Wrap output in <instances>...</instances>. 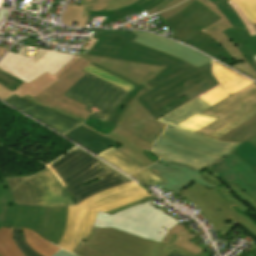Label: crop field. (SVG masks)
Returning a JSON list of instances; mask_svg holds the SVG:
<instances>
[{
    "label": "crop field",
    "instance_id": "8a807250",
    "mask_svg": "<svg viewBox=\"0 0 256 256\" xmlns=\"http://www.w3.org/2000/svg\"><path fill=\"white\" fill-rule=\"evenodd\" d=\"M126 31L95 30L99 39L87 54L165 67L141 95L143 108L156 119L204 94L219 83L211 74V62L195 68L173 56L132 41Z\"/></svg>",
    "mask_w": 256,
    "mask_h": 256
},
{
    "label": "crop field",
    "instance_id": "ac0d7876",
    "mask_svg": "<svg viewBox=\"0 0 256 256\" xmlns=\"http://www.w3.org/2000/svg\"><path fill=\"white\" fill-rule=\"evenodd\" d=\"M178 192L199 206L216 229L224 234L240 223L256 236V223L246 216L248 213L256 216V202L237 185L231 183L209 190L194 182Z\"/></svg>",
    "mask_w": 256,
    "mask_h": 256
},
{
    "label": "crop field",
    "instance_id": "34b2d1b8",
    "mask_svg": "<svg viewBox=\"0 0 256 256\" xmlns=\"http://www.w3.org/2000/svg\"><path fill=\"white\" fill-rule=\"evenodd\" d=\"M49 168L66 188L76 204L97 192L131 182L116 170L76 148L58 159ZM97 178L101 180L88 185H81Z\"/></svg>",
    "mask_w": 256,
    "mask_h": 256
},
{
    "label": "crop field",
    "instance_id": "412701ff",
    "mask_svg": "<svg viewBox=\"0 0 256 256\" xmlns=\"http://www.w3.org/2000/svg\"><path fill=\"white\" fill-rule=\"evenodd\" d=\"M147 196L151 194L131 182L100 192L78 205L68 207L66 231L58 246L72 252L82 240L87 241L97 210L106 212Z\"/></svg>",
    "mask_w": 256,
    "mask_h": 256
},
{
    "label": "crop field",
    "instance_id": "f4fd0767",
    "mask_svg": "<svg viewBox=\"0 0 256 256\" xmlns=\"http://www.w3.org/2000/svg\"><path fill=\"white\" fill-rule=\"evenodd\" d=\"M67 207H29L16 205L5 178H0V228L25 227L57 245L63 236Z\"/></svg>",
    "mask_w": 256,
    "mask_h": 256
},
{
    "label": "crop field",
    "instance_id": "dd49c442",
    "mask_svg": "<svg viewBox=\"0 0 256 256\" xmlns=\"http://www.w3.org/2000/svg\"><path fill=\"white\" fill-rule=\"evenodd\" d=\"M150 202L152 200L113 215L98 211L93 227H114L161 242L168 230L178 222L150 205Z\"/></svg>",
    "mask_w": 256,
    "mask_h": 256
},
{
    "label": "crop field",
    "instance_id": "e52e79f7",
    "mask_svg": "<svg viewBox=\"0 0 256 256\" xmlns=\"http://www.w3.org/2000/svg\"><path fill=\"white\" fill-rule=\"evenodd\" d=\"M173 234L167 245L114 229L93 228L87 242L81 244L111 256H169L173 250L187 256H197L175 245Z\"/></svg>",
    "mask_w": 256,
    "mask_h": 256
},
{
    "label": "crop field",
    "instance_id": "d8731c3e",
    "mask_svg": "<svg viewBox=\"0 0 256 256\" xmlns=\"http://www.w3.org/2000/svg\"><path fill=\"white\" fill-rule=\"evenodd\" d=\"M6 179L16 204L29 206L75 205L48 167L32 177Z\"/></svg>",
    "mask_w": 256,
    "mask_h": 256
},
{
    "label": "crop field",
    "instance_id": "5a996713",
    "mask_svg": "<svg viewBox=\"0 0 256 256\" xmlns=\"http://www.w3.org/2000/svg\"><path fill=\"white\" fill-rule=\"evenodd\" d=\"M88 64L89 61L80 58L67 70H65L61 75L57 77L60 79L59 81H57L47 90L42 92L36 98L33 99L27 95L22 99L28 101L33 105H42L45 108L52 109L65 116H69L78 121L83 122L90 114L89 112L84 110L86 108V105L74 101L70 98H67L62 94L66 92L71 86H73L81 77H83L86 74L81 70Z\"/></svg>",
    "mask_w": 256,
    "mask_h": 256
},
{
    "label": "crop field",
    "instance_id": "3316defc",
    "mask_svg": "<svg viewBox=\"0 0 256 256\" xmlns=\"http://www.w3.org/2000/svg\"><path fill=\"white\" fill-rule=\"evenodd\" d=\"M28 47L24 46L19 53L9 52L1 61L0 69L29 83L44 72L56 74L73 55L37 49L33 56L25 54ZM52 75V76H53Z\"/></svg>",
    "mask_w": 256,
    "mask_h": 256
},
{
    "label": "crop field",
    "instance_id": "28ad6ade",
    "mask_svg": "<svg viewBox=\"0 0 256 256\" xmlns=\"http://www.w3.org/2000/svg\"><path fill=\"white\" fill-rule=\"evenodd\" d=\"M86 73L69 91L92 101L87 110L100 120L105 121L127 91L88 72Z\"/></svg>",
    "mask_w": 256,
    "mask_h": 256
},
{
    "label": "crop field",
    "instance_id": "d1516ede",
    "mask_svg": "<svg viewBox=\"0 0 256 256\" xmlns=\"http://www.w3.org/2000/svg\"><path fill=\"white\" fill-rule=\"evenodd\" d=\"M256 107V83L226 97L200 114L219 119L196 132L207 136Z\"/></svg>",
    "mask_w": 256,
    "mask_h": 256
},
{
    "label": "crop field",
    "instance_id": "22f410ed",
    "mask_svg": "<svg viewBox=\"0 0 256 256\" xmlns=\"http://www.w3.org/2000/svg\"><path fill=\"white\" fill-rule=\"evenodd\" d=\"M220 19L222 18L195 0L183 11L168 20L162 21V23L170 31L173 29L178 31L170 37L184 42Z\"/></svg>",
    "mask_w": 256,
    "mask_h": 256
},
{
    "label": "crop field",
    "instance_id": "cbeb9de0",
    "mask_svg": "<svg viewBox=\"0 0 256 256\" xmlns=\"http://www.w3.org/2000/svg\"><path fill=\"white\" fill-rule=\"evenodd\" d=\"M153 152L165 160L187 165L200 171L211 169L223 158L195 150L162 136L155 143Z\"/></svg>",
    "mask_w": 256,
    "mask_h": 256
},
{
    "label": "crop field",
    "instance_id": "5142ce71",
    "mask_svg": "<svg viewBox=\"0 0 256 256\" xmlns=\"http://www.w3.org/2000/svg\"><path fill=\"white\" fill-rule=\"evenodd\" d=\"M148 168L162 176L168 183L159 185L171 191L184 189L190 186V184L194 181L206 186L209 189L219 185H224L223 182L208 171L200 172L187 166L170 163L163 159L159 160L157 163Z\"/></svg>",
    "mask_w": 256,
    "mask_h": 256
},
{
    "label": "crop field",
    "instance_id": "d9b57169",
    "mask_svg": "<svg viewBox=\"0 0 256 256\" xmlns=\"http://www.w3.org/2000/svg\"><path fill=\"white\" fill-rule=\"evenodd\" d=\"M209 171L226 185L237 184L256 201V170L234 153L231 152Z\"/></svg>",
    "mask_w": 256,
    "mask_h": 256
},
{
    "label": "crop field",
    "instance_id": "733c2abd",
    "mask_svg": "<svg viewBox=\"0 0 256 256\" xmlns=\"http://www.w3.org/2000/svg\"><path fill=\"white\" fill-rule=\"evenodd\" d=\"M144 92L139 91L119 122L133 135L153 144L163 131L165 124L156 121L140 105L138 98Z\"/></svg>",
    "mask_w": 256,
    "mask_h": 256
},
{
    "label": "crop field",
    "instance_id": "4a817a6b",
    "mask_svg": "<svg viewBox=\"0 0 256 256\" xmlns=\"http://www.w3.org/2000/svg\"><path fill=\"white\" fill-rule=\"evenodd\" d=\"M198 1L203 3L205 6H207L223 18L222 20L216 22L215 24L209 26L202 31L208 34L214 40H216L232 56V58L237 62L236 64L231 65L232 67L256 79L255 70L248 64L241 51L224 33L221 32L222 30L232 27L231 24L224 17V15L217 10V7L209 0Z\"/></svg>",
    "mask_w": 256,
    "mask_h": 256
},
{
    "label": "crop field",
    "instance_id": "bc2a9ffb",
    "mask_svg": "<svg viewBox=\"0 0 256 256\" xmlns=\"http://www.w3.org/2000/svg\"><path fill=\"white\" fill-rule=\"evenodd\" d=\"M130 32L138 34L134 41L178 57L196 67L212 61L200 53L166 38L143 31Z\"/></svg>",
    "mask_w": 256,
    "mask_h": 256
},
{
    "label": "crop field",
    "instance_id": "214f88e0",
    "mask_svg": "<svg viewBox=\"0 0 256 256\" xmlns=\"http://www.w3.org/2000/svg\"><path fill=\"white\" fill-rule=\"evenodd\" d=\"M77 56L96 62L148 89L150 87L146 85L163 69L161 67L130 63L90 55H82L78 53Z\"/></svg>",
    "mask_w": 256,
    "mask_h": 256
},
{
    "label": "crop field",
    "instance_id": "92a150f3",
    "mask_svg": "<svg viewBox=\"0 0 256 256\" xmlns=\"http://www.w3.org/2000/svg\"><path fill=\"white\" fill-rule=\"evenodd\" d=\"M4 101L62 134L81 123L42 106H33L15 94Z\"/></svg>",
    "mask_w": 256,
    "mask_h": 256
},
{
    "label": "crop field",
    "instance_id": "dafd665d",
    "mask_svg": "<svg viewBox=\"0 0 256 256\" xmlns=\"http://www.w3.org/2000/svg\"><path fill=\"white\" fill-rule=\"evenodd\" d=\"M162 136L186 144L193 148L223 157L228 155L234 148L239 145L238 143L214 140L169 126H167L165 131L162 133Z\"/></svg>",
    "mask_w": 256,
    "mask_h": 256
},
{
    "label": "crop field",
    "instance_id": "00972430",
    "mask_svg": "<svg viewBox=\"0 0 256 256\" xmlns=\"http://www.w3.org/2000/svg\"><path fill=\"white\" fill-rule=\"evenodd\" d=\"M213 74L220 81L222 86L200 96L210 104H215L224 97L240 90L241 88L253 83L247 78L236 72L216 63H213Z\"/></svg>",
    "mask_w": 256,
    "mask_h": 256
},
{
    "label": "crop field",
    "instance_id": "a9b5d70f",
    "mask_svg": "<svg viewBox=\"0 0 256 256\" xmlns=\"http://www.w3.org/2000/svg\"><path fill=\"white\" fill-rule=\"evenodd\" d=\"M93 131H95L107 138H110L114 141L124 144L125 146H123L117 150L124 153L131 159L135 160L142 166L146 167L153 163V162L149 161L147 159V157L141 153V151L143 149L151 151L152 145H150V144L140 140L139 138L133 136L132 134H130L120 123H118L116 129L114 131H112L111 133H109L108 135L98 132L96 130H93Z\"/></svg>",
    "mask_w": 256,
    "mask_h": 256
},
{
    "label": "crop field",
    "instance_id": "4177f3b9",
    "mask_svg": "<svg viewBox=\"0 0 256 256\" xmlns=\"http://www.w3.org/2000/svg\"><path fill=\"white\" fill-rule=\"evenodd\" d=\"M90 65H93L119 79H122L132 85H134L135 87L130 91L128 92V94L125 96V98L122 100V102L119 104V106L115 109V111L110 115V117L104 122L100 121L99 119H97L96 117H94L92 114L89 116V118L84 122V124H86L87 126L93 128V129H96V130H99L101 132H104V133H109L111 132L112 130H114L117 122L119 121L120 117L122 116L124 110L126 109V107L129 105V103L131 102V100L133 99V97L138 93V91L140 89H143V90H148L122 76H119L95 63H90Z\"/></svg>",
    "mask_w": 256,
    "mask_h": 256
},
{
    "label": "crop field",
    "instance_id": "730fd06b",
    "mask_svg": "<svg viewBox=\"0 0 256 256\" xmlns=\"http://www.w3.org/2000/svg\"><path fill=\"white\" fill-rule=\"evenodd\" d=\"M79 57H74L70 60L55 76H52L49 73H44L31 83H22L15 91L11 92L0 85V98L6 99L7 97L11 96L12 94H17L19 97H24L25 95H30L31 97L37 96L39 93L47 89L53 83H55L58 79L56 78L59 74H61L65 69H67L71 64H73Z\"/></svg>",
    "mask_w": 256,
    "mask_h": 256
},
{
    "label": "crop field",
    "instance_id": "eef30255",
    "mask_svg": "<svg viewBox=\"0 0 256 256\" xmlns=\"http://www.w3.org/2000/svg\"><path fill=\"white\" fill-rule=\"evenodd\" d=\"M80 6L68 4L62 22L65 25L78 23L77 27H85L89 11L102 10L110 0H80Z\"/></svg>",
    "mask_w": 256,
    "mask_h": 256
},
{
    "label": "crop field",
    "instance_id": "ae1a2a85",
    "mask_svg": "<svg viewBox=\"0 0 256 256\" xmlns=\"http://www.w3.org/2000/svg\"><path fill=\"white\" fill-rule=\"evenodd\" d=\"M64 135L95 154L114 143V141L87 129L82 124Z\"/></svg>",
    "mask_w": 256,
    "mask_h": 256
},
{
    "label": "crop field",
    "instance_id": "d3111659",
    "mask_svg": "<svg viewBox=\"0 0 256 256\" xmlns=\"http://www.w3.org/2000/svg\"><path fill=\"white\" fill-rule=\"evenodd\" d=\"M242 51L250 65L256 70L252 55L256 54V35L250 36L248 30L232 27L223 31Z\"/></svg>",
    "mask_w": 256,
    "mask_h": 256
},
{
    "label": "crop field",
    "instance_id": "750c4746",
    "mask_svg": "<svg viewBox=\"0 0 256 256\" xmlns=\"http://www.w3.org/2000/svg\"><path fill=\"white\" fill-rule=\"evenodd\" d=\"M185 43L190 44L205 51L207 55L217 59L220 56L229 61L230 63H235V61L230 57V55L212 38L207 36L202 31L197 35L191 37Z\"/></svg>",
    "mask_w": 256,
    "mask_h": 256
},
{
    "label": "crop field",
    "instance_id": "bd1437ed",
    "mask_svg": "<svg viewBox=\"0 0 256 256\" xmlns=\"http://www.w3.org/2000/svg\"><path fill=\"white\" fill-rule=\"evenodd\" d=\"M161 1L162 0H140L130 6L115 11H95L90 12L89 15L105 16L107 17L106 22H112L115 19L126 17L150 9Z\"/></svg>",
    "mask_w": 256,
    "mask_h": 256
},
{
    "label": "crop field",
    "instance_id": "1d83c4d3",
    "mask_svg": "<svg viewBox=\"0 0 256 256\" xmlns=\"http://www.w3.org/2000/svg\"><path fill=\"white\" fill-rule=\"evenodd\" d=\"M210 106L211 105L199 97L185 106L177 109L176 111L168 114L160 121L174 126Z\"/></svg>",
    "mask_w": 256,
    "mask_h": 256
},
{
    "label": "crop field",
    "instance_id": "120bbe31",
    "mask_svg": "<svg viewBox=\"0 0 256 256\" xmlns=\"http://www.w3.org/2000/svg\"><path fill=\"white\" fill-rule=\"evenodd\" d=\"M99 156L106 159L107 161L128 174L143 168L141 165L134 162L133 160L113 148H109L108 150L99 154Z\"/></svg>",
    "mask_w": 256,
    "mask_h": 256
},
{
    "label": "crop field",
    "instance_id": "d32e631a",
    "mask_svg": "<svg viewBox=\"0 0 256 256\" xmlns=\"http://www.w3.org/2000/svg\"><path fill=\"white\" fill-rule=\"evenodd\" d=\"M22 234L27 244L41 256H53V254L59 250L58 247L50 244L42 237L38 236L31 230L21 228Z\"/></svg>",
    "mask_w": 256,
    "mask_h": 256
},
{
    "label": "crop field",
    "instance_id": "5866460e",
    "mask_svg": "<svg viewBox=\"0 0 256 256\" xmlns=\"http://www.w3.org/2000/svg\"><path fill=\"white\" fill-rule=\"evenodd\" d=\"M173 233L178 235L173 244L197 255H199V253L202 251L201 248L187 241L193 238V235L181 224H178L174 226L172 229H170L169 232L164 237V239L162 240V242L167 244Z\"/></svg>",
    "mask_w": 256,
    "mask_h": 256
},
{
    "label": "crop field",
    "instance_id": "028f5c9d",
    "mask_svg": "<svg viewBox=\"0 0 256 256\" xmlns=\"http://www.w3.org/2000/svg\"><path fill=\"white\" fill-rule=\"evenodd\" d=\"M256 135V116L225 134L220 140L242 143Z\"/></svg>",
    "mask_w": 256,
    "mask_h": 256
},
{
    "label": "crop field",
    "instance_id": "e1f06a70",
    "mask_svg": "<svg viewBox=\"0 0 256 256\" xmlns=\"http://www.w3.org/2000/svg\"><path fill=\"white\" fill-rule=\"evenodd\" d=\"M0 254L1 256H24L12 240V229H0Z\"/></svg>",
    "mask_w": 256,
    "mask_h": 256
},
{
    "label": "crop field",
    "instance_id": "0bd39190",
    "mask_svg": "<svg viewBox=\"0 0 256 256\" xmlns=\"http://www.w3.org/2000/svg\"><path fill=\"white\" fill-rule=\"evenodd\" d=\"M216 119L218 118L197 114L174 127L194 133Z\"/></svg>",
    "mask_w": 256,
    "mask_h": 256
},
{
    "label": "crop field",
    "instance_id": "b80d0937",
    "mask_svg": "<svg viewBox=\"0 0 256 256\" xmlns=\"http://www.w3.org/2000/svg\"><path fill=\"white\" fill-rule=\"evenodd\" d=\"M210 1L218 7V10L225 15V17L229 20L232 26L246 29V27L244 26V24L236 14V12L230 6L229 0H210Z\"/></svg>",
    "mask_w": 256,
    "mask_h": 256
},
{
    "label": "crop field",
    "instance_id": "c035e120",
    "mask_svg": "<svg viewBox=\"0 0 256 256\" xmlns=\"http://www.w3.org/2000/svg\"><path fill=\"white\" fill-rule=\"evenodd\" d=\"M232 152L256 169V146L252 142L248 140Z\"/></svg>",
    "mask_w": 256,
    "mask_h": 256
},
{
    "label": "crop field",
    "instance_id": "c21b1889",
    "mask_svg": "<svg viewBox=\"0 0 256 256\" xmlns=\"http://www.w3.org/2000/svg\"><path fill=\"white\" fill-rule=\"evenodd\" d=\"M133 178L138 180L139 182L145 184L146 186H151L153 183H163L166 182L162 177L151 171L150 169L146 168L142 171L134 173L132 175Z\"/></svg>",
    "mask_w": 256,
    "mask_h": 256
},
{
    "label": "crop field",
    "instance_id": "03da06ac",
    "mask_svg": "<svg viewBox=\"0 0 256 256\" xmlns=\"http://www.w3.org/2000/svg\"><path fill=\"white\" fill-rule=\"evenodd\" d=\"M255 115H256V108L248 112L247 114L243 115L242 117L238 118L237 120L231 122L230 124L226 125L225 127L214 132L213 134L209 135L208 137L217 139Z\"/></svg>",
    "mask_w": 256,
    "mask_h": 256
},
{
    "label": "crop field",
    "instance_id": "b54c1fbb",
    "mask_svg": "<svg viewBox=\"0 0 256 256\" xmlns=\"http://www.w3.org/2000/svg\"><path fill=\"white\" fill-rule=\"evenodd\" d=\"M238 4L251 24L256 23V0H231Z\"/></svg>",
    "mask_w": 256,
    "mask_h": 256
},
{
    "label": "crop field",
    "instance_id": "5d738f31",
    "mask_svg": "<svg viewBox=\"0 0 256 256\" xmlns=\"http://www.w3.org/2000/svg\"><path fill=\"white\" fill-rule=\"evenodd\" d=\"M84 70H86V71H88V72H90V73H92V74H94V75H96L100 78H103V79H105V80H107V81H109V82H111L115 85H118V86H120V87H122V88H124L128 91H130L133 88V86H131V85H129V84H127V83H125V82L107 74V73H104V72H102V71H100V70H98V69H96V68H94L90 65H88L86 68H84Z\"/></svg>",
    "mask_w": 256,
    "mask_h": 256
},
{
    "label": "crop field",
    "instance_id": "d23c7cc5",
    "mask_svg": "<svg viewBox=\"0 0 256 256\" xmlns=\"http://www.w3.org/2000/svg\"><path fill=\"white\" fill-rule=\"evenodd\" d=\"M13 240L18 245L19 249L24 253L25 256H39L37 255L24 241L20 229L14 228Z\"/></svg>",
    "mask_w": 256,
    "mask_h": 256
},
{
    "label": "crop field",
    "instance_id": "425ffa30",
    "mask_svg": "<svg viewBox=\"0 0 256 256\" xmlns=\"http://www.w3.org/2000/svg\"><path fill=\"white\" fill-rule=\"evenodd\" d=\"M23 81L3 72L0 70V84L7 89L13 91L17 88Z\"/></svg>",
    "mask_w": 256,
    "mask_h": 256
},
{
    "label": "crop field",
    "instance_id": "25e5ab78",
    "mask_svg": "<svg viewBox=\"0 0 256 256\" xmlns=\"http://www.w3.org/2000/svg\"><path fill=\"white\" fill-rule=\"evenodd\" d=\"M183 1H185V0H164L161 3H159L158 5H156L154 8L147 10V13H148V15H150L155 12L163 11V10L171 8Z\"/></svg>",
    "mask_w": 256,
    "mask_h": 256
},
{
    "label": "crop field",
    "instance_id": "73cf0c24",
    "mask_svg": "<svg viewBox=\"0 0 256 256\" xmlns=\"http://www.w3.org/2000/svg\"><path fill=\"white\" fill-rule=\"evenodd\" d=\"M194 0H187L165 12L159 13L160 16L162 17L163 20L175 15L176 13H178L179 11L183 10L185 7H187L191 2H193Z\"/></svg>",
    "mask_w": 256,
    "mask_h": 256
},
{
    "label": "crop field",
    "instance_id": "89e229c0",
    "mask_svg": "<svg viewBox=\"0 0 256 256\" xmlns=\"http://www.w3.org/2000/svg\"><path fill=\"white\" fill-rule=\"evenodd\" d=\"M73 253L79 256H108L106 254L85 247L81 244H79V246L73 251Z\"/></svg>",
    "mask_w": 256,
    "mask_h": 256
},
{
    "label": "crop field",
    "instance_id": "1f2cbd36",
    "mask_svg": "<svg viewBox=\"0 0 256 256\" xmlns=\"http://www.w3.org/2000/svg\"><path fill=\"white\" fill-rule=\"evenodd\" d=\"M137 0H111L103 10H115L134 3Z\"/></svg>",
    "mask_w": 256,
    "mask_h": 256
},
{
    "label": "crop field",
    "instance_id": "dbb93151",
    "mask_svg": "<svg viewBox=\"0 0 256 256\" xmlns=\"http://www.w3.org/2000/svg\"><path fill=\"white\" fill-rule=\"evenodd\" d=\"M150 199H153V200H154V199H156V198L153 197V196L147 197V198H144V199H142V200L136 201V202H134V203L128 204V205H126V206L117 208V209H115V210H112V211H109V212H106V213L113 214V213H115V212H118V211L124 210V209H126V208H129V207H132V206L141 204V203H143V202H146V201H148V200H150Z\"/></svg>",
    "mask_w": 256,
    "mask_h": 256
},
{
    "label": "crop field",
    "instance_id": "0fb4a251",
    "mask_svg": "<svg viewBox=\"0 0 256 256\" xmlns=\"http://www.w3.org/2000/svg\"><path fill=\"white\" fill-rule=\"evenodd\" d=\"M64 95H66V96H68V97H70V98H72V99H74V100H77V101H79V102H82V103H84V104H86V105H89L90 104V101H88V100H86V99H83V98H81V97H79V96H76V95H74V94H72V93H70V92H66Z\"/></svg>",
    "mask_w": 256,
    "mask_h": 256
},
{
    "label": "crop field",
    "instance_id": "1d79db26",
    "mask_svg": "<svg viewBox=\"0 0 256 256\" xmlns=\"http://www.w3.org/2000/svg\"><path fill=\"white\" fill-rule=\"evenodd\" d=\"M54 256H75V255H72L64 250H60L58 253H56Z\"/></svg>",
    "mask_w": 256,
    "mask_h": 256
},
{
    "label": "crop field",
    "instance_id": "9d1cf04e",
    "mask_svg": "<svg viewBox=\"0 0 256 256\" xmlns=\"http://www.w3.org/2000/svg\"><path fill=\"white\" fill-rule=\"evenodd\" d=\"M9 10H3L0 9V22L5 18V16L8 14Z\"/></svg>",
    "mask_w": 256,
    "mask_h": 256
},
{
    "label": "crop field",
    "instance_id": "447ae74e",
    "mask_svg": "<svg viewBox=\"0 0 256 256\" xmlns=\"http://www.w3.org/2000/svg\"><path fill=\"white\" fill-rule=\"evenodd\" d=\"M170 256H183V255H181V254H179V253L174 251Z\"/></svg>",
    "mask_w": 256,
    "mask_h": 256
},
{
    "label": "crop field",
    "instance_id": "0765c3eb",
    "mask_svg": "<svg viewBox=\"0 0 256 256\" xmlns=\"http://www.w3.org/2000/svg\"><path fill=\"white\" fill-rule=\"evenodd\" d=\"M7 49H5V48H0V57H1V55L6 51Z\"/></svg>",
    "mask_w": 256,
    "mask_h": 256
},
{
    "label": "crop field",
    "instance_id": "db79e9e6",
    "mask_svg": "<svg viewBox=\"0 0 256 256\" xmlns=\"http://www.w3.org/2000/svg\"><path fill=\"white\" fill-rule=\"evenodd\" d=\"M250 141H252L256 145V137L250 139Z\"/></svg>",
    "mask_w": 256,
    "mask_h": 256
},
{
    "label": "crop field",
    "instance_id": "7b73153f",
    "mask_svg": "<svg viewBox=\"0 0 256 256\" xmlns=\"http://www.w3.org/2000/svg\"><path fill=\"white\" fill-rule=\"evenodd\" d=\"M253 27L256 29V24H254Z\"/></svg>",
    "mask_w": 256,
    "mask_h": 256
},
{
    "label": "crop field",
    "instance_id": "78b8030e",
    "mask_svg": "<svg viewBox=\"0 0 256 256\" xmlns=\"http://www.w3.org/2000/svg\"><path fill=\"white\" fill-rule=\"evenodd\" d=\"M254 57V60H256V55L255 56H253Z\"/></svg>",
    "mask_w": 256,
    "mask_h": 256
},
{
    "label": "crop field",
    "instance_id": "0f1d7ab4",
    "mask_svg": "<svg viewBox=\"0 0 256 256\" xmlns=\"http://www.w3.org/2000/svg\"><path fill=\"white\" fill-rule=\"evenodd\" d=\"M18 1H20V0H18Z\"/></svg>",
    "mask_w": 256,
    "mask_h": 256
}]
</instances>
